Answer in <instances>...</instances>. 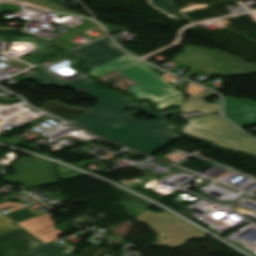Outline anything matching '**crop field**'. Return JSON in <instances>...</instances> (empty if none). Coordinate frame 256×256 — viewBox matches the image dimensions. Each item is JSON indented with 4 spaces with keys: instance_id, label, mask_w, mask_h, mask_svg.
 Here are the masks:
<instances>
[{
    "instance_id": "8a807250",
    "label": "crop field",
    "mask_w": 256,
    "mask_h": 256,
    "mask_svg": "<svg viewBox=\"0 0 256 256\" xmlns=\"http://www.w3.org/2000/svg\"><path fill=\"white\" fill-rule=\"evenodd\" d=\"M85 90L99 102L97 106L71 122L75 125L151 156L170 141L180 137L171 132L176 126L169 124L164 118L172 115L173 110L156 114L151 111L146 101L134 104L123 94L94 86ZM128 107L139 109L149 116H158L159 120L140 121L124 111Z\"/></svg>"
},
{
    "instance_id": "ac0d7876",
    "label": "crop field",
    "mask_w": 256,
    "mask_h": 256,
    "mask_svg": "<svg viewBox=\"0 0 256 256\" xmlns=\"http://www.w3.org/2000/svg\"><path fill=\"white\" fill-rule=\"evenodd\" d=\"M114 69L139 83L127 89L130 91V93L135 95L136 99L140 97H147L152 102L156 103L169 97L181 94L158 103V109H162L167 105H179L182 102L184 95L155 72H153L152 70L155 68L146 65L128 55L106 63L96 69H92L89 71V73L94 76H98Z\"/></svg>"
},
{
    "instance_id": "34b2d1b8",
    "label": "crop field",
    "mask_w": 256,
    "mask_h": 256,
    "mask_svg": "<svg viewBox=\"0 0 256 256\" xmlns=\"http://www.w3.org/2000/svg\"><path fill=\"white\" fill-rule=\"evenodd\" d=\"M183 50L184 54L175 57L174 61L191 68L182 76L186 79L200 70L221 76L256 72L255 64L233 57L218 49L208 50L204 47L187 46Z\"/></svg>"
},
{
    "instance_id": "412701ff",
    "label": "crop field",
    "mask_w": 256,
    "mask_h": 256,
    "mask_svg": "<svg viewBox=\"0 0 256 256\" xmlns=\"http://www.w3.org/2000/svg\"><path fill=\"white\" fill-rule=\"evenodd\" d=\"M187 122L189 124L182 129L185 133L206 139L223 149L256 156V141L239 132L220 115L191 118Z\"/></svg>"
},
{
    "instance_id": "f4fd0767",
    "label": "crop field",
    "mask_w": 256,
    "mask_h": 256,
    "mask_svg": "<svg viewBox=\"0 0 256 256\" xmlns=\"http://www.w3.org/2000/svg\"><path fill=\"white\" fill-rule=\"evenodd\" d=\"M172 219H174V221ZM135 220L151 226L150 230L158 234L153 243L155 245L164 246L163 244H166L167 247H176L190 238H202L207 236V234L166 212H163L161 215L160 213L146 210L135 217ZM194 230H197V232H194ZM179 235L181 237H179ZM164 237H166L165 240H163ZM157 238L160 239V241H156Z\"/></svg>"
},
{
    "instance_id": "dd49c442",
    "label": "crop field",
    "mask_w": 256,
    "mask_h": 256,
    "mask_svg": "<svg viewBox=\"0 0 256 256\" xmlns=\"http://www.w3.org/2000/svg\"><path fill=\"white\" fill-rule=\"evenodd\" d=\"M15 171L17 174L3 175L0 178L10 184L19 182L28 188L58 182L51 162L15 165Z\"/></svg>"
},
{
    "instance_id": "e52e79f7",
    "label": "crop field",
    "mask_w": 256,
    "mask_h": 256,
    "mask_svg": "<svg viewBox=\"0 0 256 256\" xmlns=\"http://www.w3.org/2000/svg\"><path fill=\"white\" fill-rule=\"evenodd\" d=\"M71 56L86 58L88 61L82 67L92 69L96 66L109 62L125 55L105 38L68 52Z\"/></svg>"
},
{
    "instance_id": "d8731c3e",
    "label": "crop field",
    "mask_w": 256,
    "mask_h": 256,
    "mask_svg": "<svg viewBox=\"0 0 256 256\" xmlns=\"http://www.w3.org/2000/svg\"><path fill=\"white\" fill-rule=\"evenodd\" d=\"M44 244L22 228L0 235V256H13Z\"/></svg>"
},
{
    "instance_id": "5a996713",
    "label": "crop field",
    "mask_w": 256,
    "mask_h": 256,
    "mask_svg": "<svg viewBox=\"0 0 256 256\" xmlns=\"http://www.w3.org/2000/svg\"><path fill=\"white\" fill-rule=\"evenodd\" d=\"M224 112L226 117L240 127L256 123V102L227 97Z\"/></svg>"
},
{
    "instance_id": "3316defc",
    "label": "crop field",
    "mask_w": 256,
    "mask_h": 256,
    "mask_svg": "<svg viewBox=\"0 0 256 256\" xmlns=\"http://www.w3.org/2000/svg\"><path fill=\"white\" fill-rule=\"evenodd\" d=\"M54 223V221L50 220V214H47L21 222L18 225L36 236L41 241L47 243L56 239V235L63 233L52 226Z\"/></svg>"
},
{
    "instance_id": "28ad6ade",
    "label": "crop field",
    "mask_w": 256,
    "mask_h": 256,
    "mask_svg": "<svg viewBox=\"0 0 256 256\" xmlns=\"http://www.w3.org/2000/svg\"><path fill=\"white\" fill-rule=\"evenodd\" d=\"M25 79L33 80L43 87L48 86V85H55V86H58L61 88L68 87V88H71L72 90H75L78 88L85 89V88L93 85L91 83V79L85 75L68 82L65 79L49 72L48 70H45L38 74L32 75Z\"/></svg>"
},
{
    "instance_id": "d1516ede",
    "label": "crop field",
    "mask_w": 256,
    "mask_h": 256,
    "mask_svg": "<svg viewBox=\"0 0 256 256\" xmlns=\"http://www.w3.org/2000/svg\"><path fill=\"white\" fill-rule=\"evenodd\" d=\"M74 249V246L66 242L60 244L56 241H52L16 256H68Z\"/></svg>"
},
{
    "instance_id": "22f410ed",
    "label": "crop field",
    "mask_w": 256,
    "mask_h": 256,
    "mask_svg": "<svg viewBox=\"0 0 256 256\" xmlns=\"http://www.w3.org/2000/svg\"><path fill=\"white\" fill-rule=\"evenodd\" d=\"M210 95H215L211 91H204L181 104V111L183 113L200 110L202 114L218 112L220 103L207 104L204 100Z\"/></svg>"
},
{
    "instance_id": "cbeb9de0",
    "label": "crop field",
    "mask_w": 256,
    "mask_h": 256,
    "mask_svg": "<svg viewBox=\"0 0 256 256\" xmlns=\"http://www.w3.org/2000/svg\"><path fill=\"white\" fill-rule=\"evenodd\" d=\"M40 109L71 122L90 108H74L55 101H49Z\"/></svg>"
},
{
    "instance_id": "5142ce71",
    "label": "crop field",
    "mask_w": 256,
    "mask_h": 256,
    "mask_svg": "<svg viewBox=\"0 0 256 256\" xmlns=\"http://www.w3.org/2000/svg\"><path fill=\"white\" fill-rule=\"evenodd\" d=\"M147 2L157 10L161 11L165 15L179 21L185 20L179 13L178 9L170 0L167 2L166 0H147Z\"/></svg>"
},
{
    "instance_id": "d9b57169",
    "label": "crop field",
    "mask_w": 256,
    "mask_h": 256,
    "mask_svg": "<svg viewBox=\"0 0 256 256\" xmlns=\"http://www.w3.org/2000/svg\"><path fill=\"white\" fill-rule=\"evenodd\" d=\"M23 1H27L30 2L34 5H38V6H44V7H48L52 10H56V11H61V12H66V13H72V14H77V15H82V16H86L84 14L81 13H77V12H73L70 10L65 9L62 5H59L51 0H23ZM89 17V16H86Z\"/></svg>"
},
{
    "instance_id": "733c2abd",
    "label": "crop field",
    "mask_w": 256,
    "mask_h": 256,
    "mask_svg": "<svg viewBox=\"0 0 256 256\" xmlns=\"http://www.w3.org/2000/svg\"><path fill=\"white\" fill-rule=\"evenodd\" d=\"M121 204L124 207V209L127 211L128 213L127 216L129 217H135L142 211L146 210L140 205H138L137 203L133 202L132 200L131 202H129L128 200L123 201L121 202Z\"/></svg>"
},
{
    "instance_id": "4a817a6b",
    "label": "crop field",
    "mask_w": 256,
    "mask_h": 256,
    "mask_svg": "<svg viewBox=\"0 0 256 256\" xmlns=\"http://www.w3.org/2000/svg\"><path fill=\"white\" fill-rule=\"evenodd\" d=\"M1 212V210H0ZM16 221L12 220L11 218H9L8 216H4L0 213V234L1 233H5L11 230H14L16 228H18V226H16L15 223Z\"/></svg>"
},
{
    "instance_id": "bc2a9ffb",
    "label": "crop field",
    "mask_w": 256,
    "mask_h": 256,
    "mask_svg": "<svg viewBox=\"0 0 256 256\" xmlns=\"http://www.w3.org/2000/svg\"><path fill=\"white\" fill-rule=\"evenodd\" d=\"M55 167H56V169L58 171L59 178H60L61 181L67 180V179H71V178H75V177L83 175V174L75 172V171L73 173H70V171H73V170L64 168V167H62L60 165H57V164H55Z\"/></svg>"
},
{
    "instance_id": "214f88e0",
    "label": "crop field",
    "mask_w": 256,
    "mask_h": 256,
    "mask_svg": "<svg viewBox=\"0 0 256 256\" xmlns=\"http://www.w3.org/2000/svg\"><path fill=\"white\" fill-rule=\"evenodd\" d=\"M34 215H36V214L31 212L28 209V207H26V208H23L21 210H18V211H15V212L11 213L9 215V217H11L14 220L18 221V220H21V219H24V218H28V217H31V216H34Z\"/></svg>"
},
{
    "instance_id": "92a150f3",
    "label": "crop field",
    "mask_w": 256,
    "mask_h": 256,
    "mask_svg": "<svg viewBox=\"0 0 256 256\" xmlns=\"http://www.w3.org/2000/svg\"><path fill=\"white\" fill-rule=\"evenodd\" d=\"M204 90H206V89L200 88V87L188 82L185 95L187 96L188 94H190V96H187L186 99H188Z\"/></svg>"
},
{
    "instance_id": "dafd665d",
    "label": "crop field",
    "mask_w": 256,
    "mask_h": 256,
    "mask_svg": "<svg viewBox=\"0 0 256 256\" xmlns=\"http://www.w3.org/2000/svg\"><path fill=\"white\" fill-rule=\"evenodd\" d=\"M102 248L88 246L79 256H98Z\"/></svg>"
},
{
    "instance_id": "00972430",
    "label": "crop field",
    "mask_w": 256,
    "mask_h": 256,
    "mask_svg": "<svg viewBox=\"0 0 256 256\" xmlns=\"http://www.w3.org/2000/svg\"><path fill=\"white\" fill-rule=\"evenodd\" d=\"M29 159H34V161H29ZM40 162H46V160H42L38 158L18 159V162L15 164H28V163H40Z\"/></svg>"
},
{
    "instance_id": "a9b5d70f",
    "label": "crop field",
    "mask_w": 256,
    "mask_h": 256,
    "mask_svg": "<svg viewBox=\"0 0 256 256\" xmlns=\"http://www.w3.org/2000/svg\"><path fill=\"white\" fill-rule=\"evenodd\" d=\"M171 75L170 74H168V73H165V74H163V75H161V77H163L165 80H167L168 82L169 81H171V80H173V79H175V78H172V77H170ZM173 76V75H172ZM175 77V76H174Z\"/></svg>"
},
{
    "instance_id": "4177f3b9",
    "label": "crop field",
    "mask_w": 256,
    "mask_h": 256,
    "mask_svg": "<svg viewBox=\"0 0 256 256\" xmlns=\"http://www.w3.org/2000/svg\"><path fill=\"white\" fill-rule=\"evenodd\" d=\"M114 158L113 156H109V157H106L105 159L109 160V159H112Z\"/></svg>"
}]
</instances>
